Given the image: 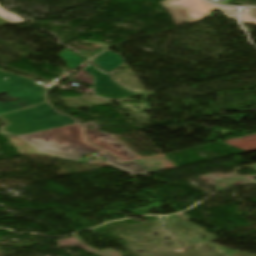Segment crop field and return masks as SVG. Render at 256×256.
I'll return each instance as SVG.
<instances>
[{
  "instance_id": "1",
  "label": "crop field",
  "mask_w": 256,
  "mask_h": 256,
  "mask_svg": "<svg viewBox=\"0 0 256 256\" xmlns=\"http://www.w3.org/2000/svg\"><path fill=\"white\" fill-rule=\"evenodd\" d=\"M25 142L49 154H60L71 160H78L83 155L98 152L105 156L107 164L132 174L147 172L136 161L125 164L105 151L85 140L80 124H74L54 130L20 137Z\"/></svg>"
},
{
  "instance_id": "2",
  "label": "crop field",
  "mask_w": 256,
  "mask_h": 256,
  "mask_svg": "<svg viewBox=\"0 0 256 256\" xmlns=\"http://www.w3.org/2000/svg\"><path fill=\"white\" fill-rule=\"evenodd\" d=\"M163 7L168 10L177 25L198 20L214 9L229 15L231 18H237L234 8L218 6L205 0H177L163 5Z\"/></svg>"
},
{
  "instance_id": "3",
  "label": "crop field",
  "mask_w": 256,
  "mask_h": 256,
  "mask_svg": "<svg viewBox=\"0 0 256 256\" xmlns=\"http://www.w3.org/2000/svg\"><path fill=\"white\" fill-rule=\"evenodd\" d=\"M85 72H88L93 78L87 79L83 77L82 74ZM73 79L92 85L89 92L104 98L121 100L137 96V94L119 86L110 79L108 73L100 70L93 64L87 65Z\"/></svg>"
},
{
  "instance_id": "4",
  "label": "crop field",
  "mask_w": 256,
  "mask_h": 256,
  "mask_svg": "<svg viewBox=\"0 0 256 256\" xmlns=\"http://www.w3.org/2000/svg\"><path fill=\"white\" fill-rule=\"evenodd\" d=\"M88 123L93 126L94 130L88 129ZM82 125L87 134L88 140L91 143L111 153L124 162H129L136 159V155L113 139L108 133L101 132L99 130L100 127L97 126L93 121L84 122Z\"/></svg>"
},
{
  "instance_id": "5",
  "label": "crop field",
  "mask_w": 256,
  "mask_h": 256,
  "mask_svg": "<svg viewBox=\"0 0 256 256\" xmlns=\"http://www.w3.org/2000/svg\"><path fill=\"white\" fill-rule=\"evenodd\" d=\"M91 62L100 66L106 72H110L124 63L118 54L112 53L110 51L102 53L98 57L91 60Z\"/></svg>"
},
{
  "instance_id": "6",
  "label": "crop field",
  "mask_w": 256,
  "mask_h": 256,
  "mask_svg": "<svg viewBox=\"0 0 256 256\" xmlns=\"http://www.w3.org/2000/svg\"><path fill=\"white\" fill-rule=\"evenodd\" d=\"M68 51L70 50H65L62 53L59 54V56L67 63V67H69L71 70L74 69L75 67L79 66L83 62L87 61L77 54H71Z\"/></svg>"
},
{
  "instance_id": "7",
  "label": "crop field",
  "mask_w": 256,
  "mask_h": 256,
  "mask_svg": "<svg viewBox=\"0 0 256 256\" xmlns=\"http://www.w3.org/2000/svg\"><path fill=\"white\" fill-rule=\"evenodd\" d=\"M3 9L0 6V17H2L4 20L10 22L11 24H17V23H20L23 21H27V20H23V19L19 18L18 16L14 15L12 13H9Z\"/></svg>"
},
{
  "instance_id": "8",
  "label": "crop field",
  "mask_w": 256,
  "mask_h": 256,
  "mask_svg": "<svg viewBox=\"0 0 256 256\" xmlns=\"http://www.w3.org/2000/svg\"><path fill=\"white\" fill-rule=\"evenodd\" d=\"M241 19L244 22L256 24V9H244L242 10Z\"/></svg>"
},
{
  "instance_id": "9",
  "label": "crop field",
  "mask_w": 256,
  "mask_h": 256,
  "mask_svg": "<svg viewBox=\"0 0 256 256\" xmlns=\"http://www.w3.org/2000/svg\"><path fill=\"white\" fill-rule=\"evenodd\" d=\"M82 43H93V44H95V45H97V46H101V47H104V48L108 47L107 45H105V44H103V43H94V42H90V41H84V42H82Z\"/></svg>"
},
{
  "instance_id": "10",
  "label": "crop field",
  "mask_w": 256,
  "mask_h": 256,
  "mask_svg": "<svg viewBox=\"0 0 256 256\" xmlns=\"http://www.w3.org/2000/svg\"><path fill=\"white\" fill-rule=\"evenodd\" d=\"M171 1H174V0H165V1L161 2V3H159V4L163 5V4H166V3L171 2Z\"/></svg>"
},
{
  "instance_id": "11",
  "label": "crop field",
  "mask_w": 256,
  "mask_h": 256,
  "mask_svg": "<svg viewBox=\"0 0 256 256\" xmlns=\"http://www.w3.org/2000/svg\"><path fill=\"white\" fill-rule=\"evenodd\" d=\"M79 54L82 55L83 57L89 59L88 57H86V53H85V52H81V53H79Z\"/></svg>"
}]
</instances>
